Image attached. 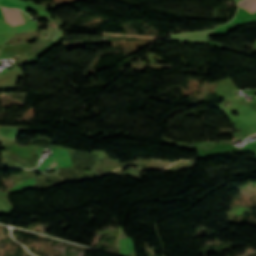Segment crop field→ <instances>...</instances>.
<instances>
[{
    "mask_svg": "<svg viewBox=\"0 0 256 256\" xmlns=\"http://www.w3.org/2000/svg\"><path fill=\"white\" fill-rule=\"evenodd\" d=\"M1 10H2V14H3L6 22H8L12 25H15V24L19 25V24L24 23L17 9H10L12 16L14 18L15 24H14L13 18L11 16L10 10L6 9V8H1Z\"/></svg>",
    "mask_w": 256,
    "mask_h": 256,
    "instance_id": "obj_1",
    "label": "crop field"
},
{
    "mask_svg": "<svg viewBox=\"0 0 256 256\" xmlns=\"http://www.w3.org/2000/svg\"><path fill=\"white\" fill-rule=\"evenodd\" d=\"M239 5L246 10L256 11V0H244Z\"/></svg>",
    "mask_w": 256,
    "mask_h": 256,
    "instance_id": "obj_2",
    "label": "crop field"
},
{
    "mask_svg": "<svg viewBox=\"0 0 256 256\" xmlns=\"http://www.w3.org/2000/svg\"><path fill=\"white\" fill-rule=\"evenodd\" d=\"M0 4L6 5V6L10 7V8H20V9H22L23 11L26 10L25 8L20 7V6L14 4V3H12V2H10V1H8V0H2V1L0 2Z\"/></svg>",
    "mask_w": 256,
    "mask_h": 256,
    "instance_id": "obj_3",
    "label": "crop field"
}]
</instances>
